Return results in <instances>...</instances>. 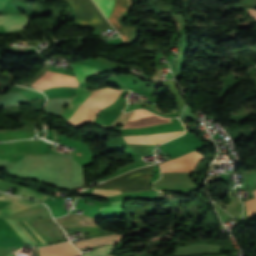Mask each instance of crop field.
Here are the masks:
<instances>
[{
    "mask_svg": "<svg viewBox=\"0 0 256 256\" xmlns=\"http://www.w3.org/2000/svg\"><path fill=\"white\" fill-rule=\"evenodd\" d=\"M122 202H112L111 208H101L100 210H120Z\"/></svg>",
    "mask_w": 256,
    "mask_h": 256,
    "instance_id": "crop-field-18",
    "label": "crop field"
},
{
    "mask_svg": "<svg viewBox=\"0 0 256 256\" xmlns=\"http://www.w3.org/2000/svg\"><path fill=\"white\" fill-rule=\"evenodd\" d=\"M252 193L254 194L255 198L245 202L248 216L256 213V190Z\"/></svg>",
    "mask_w": 256,
    "mask_h": 256,
    "instance_id": "crop-field-16",
    "label": "crop field"
},
{
    "mask_svg": "<svg viewBox=\"0 0 256 256\" xmlns=\"http://www.w3.org/2000/svg\"><path fill=\"white\" fill-rule=\"evenodd\" d=\"M106 88H109V87H106ZM101 89L94 90L93 92L90 90H86V89H77V91L75 92V94H77L75 99L69 104V106L65 109V111L62 113V115L60 117L64 118L66 120V122H68L69 119L73 116V114L78 110V108L82 105V103L86 100V98L92 92V94L88 97V99L83 103V105L79 108V110L75 113V115L68 122V124L73 126L76 123V121L79 119V117L83 114V112L89 107V105L99 95V93L101 92ZM111 89H103L102 92L100 93V95L90 105V107L84 112V114L81 116V118L77 121V123L74 126L80 125L87 120H92V118L97 110L108 105L117 95L123 93V92H121L123 90L117 91V90H111ZM115 99L113 101H115ZM101 110H99V111H101ZM99 111H97V113ZM88 122H90V121H88ZM85 123H83V124H85ZM82 125H80V126H82Z\"/></svg>",
    "mask_w": 256,
    "mask_h": 256,
    "instance_id": "crop-field-1",
    "label": "crop field"
},
{
    "mask_svg": "<svg viewBox=\"0 0 256 256\" xmlns=\"http://www.w3.org/2000/svg\"><path fill=\"white\" fill-rule=\"evenodd\" d=\"M79 155H83L82 160L77 159ZM89 164H92V158L88 151L84 149H76L72 153L73 171L76 169L83 168Z\"/></svg>",
    "mask_w": 256,
    "mask_h": 256,
    "instance_id": "crop-field-12",
    "label": "crop field"
},
{
    "mask_svg": "<svg viewBox=\"0 0 256 256\" xmlns=\"http://www.w3.org/2000/svg\"><path fill=\"white\" fill-rule=\"evenodd\" d=\"M4 220L11 226L13 231L21 237L24 244H31L33 246L47 245L28 220Z\"/></svg>",
    "mask_w": 256,
    "mask_h": 256,
    "instance_id": "crop-field-4",
    "label": "crop field"
},
{
    "mask_svg": "<svg viewBox=\"0 0 256 256\" xmlns=\"http://www.w3.org/2000/svg\"><path fill=\"white\" fill-rule=\"evenodd\" d=\"M38 256H76L80 252L76 250L71 243L66 242L63 244L38 248Z\"/></svg>",
    "mask_w": 256,
    "mask_h": 256,
    "instance_id": "crop-field-9",
    "label": "crop field"
},
{
    "mask_svg": "<svg viewBox=\"0 0 256 256\" xmlns=\"http://www.w3.org/2000/svg\"><path fill=\"white\" fill-rule=\"evenodd\" d=\"M181 132L157 134V135H138V136H123L127 143H136V144H160L167 140L173 139L181 134Z\"/></svg>",
    "mask_w": 256,
    "mask_h": 256,
    "instance_id": "crop-field-8",
    "label": "crop field"
},
{
    "mask_svg": "<svg viewBox=\"0 0 256 256\" xmlns=\"http://www.w3.org/2000/svg\"><path fill=\"white\" fill-rule=\"evenodd\" d=\"M115 245H109V246H105L99 249H96L88 254H86L85 256H104L107 255L108 253L111 252V250L114 248Z\"/></svg>",
    "mask_w": 256,
    "mask_h": 256,
    "instance_id": "crop-field-15",
    "label": "crop field"
},
{
    "mask_svg": "<svg viewBox=\"0 0 256 256\" xmlns=\"http://www.w3.org/2000/svg\"><path fill=\"white\" fill-rule=\"evenodd\" d=\"M0 200L12 203L0 208V217H7L22 210L28 209L34 205L40 204L38 202L21 199L19 197L7 194L0 196Z\"/></svg>",
    "mask_w": 256,
    "mask_h": 256,
    "instance_id": "crop-field-7",
    "label": "crop field"
},
{
    "mask_svg": "<svg viewBox=\"0 0 256 256\" xmlns=\"http://www.w3.org/2000/svg\"><path fill=\"white\" fill-rule=\"evenodd\" d=\"M0 191L6 192V190H4V189H2V188H0Z\"/></svg>",
    "mask_w": 256,
    "mask_h": 256,
    "instance_id": "crop-field-21",
    "label": "crop field"
},
{
    "mask_svg": "<svg viewBox=\"0 0 256 256\" xmlns=\"http://www.w3.org/2000/svg\"><path fill=\"white\" fill-rule=\"evenodd\" d=\"M7 0H0V10L4 7Z\"/></svg>",
    "mask_w": 256,
    "mask_h": 256,
    "instance_id": "crop-field-19",
    "label": "crop field"
},
{
    "mask_svg": "<svg viewBox=\"0 0 256 256\" xmlns=\"http://www.w3.org/2000/svg\"><path fill=\"white\" fill-rule=\"evenodd\" d=\"M27 19L22 16L4 15L0 16V24L4 23L6 32L23 28Z\"/></svg>",
    "mask_w": 256,
    "mask_h": 256,
    "instance_id": "crop-field-10",
    "label": "crop field"
},
{
    "mask_svg": "<svg viewBox=\"0 0 256 256\" xmlns=\"http://www.w3.org/2000/svg\"><path fill=\"white\" fill-rule=\"evenodd\" d=\"M75 75L76 78L78 80V82H86L85 80H87L88 78L97 75L99 73H103L97 69L94 68H90L87 67L85 65H81V64H70Z\"/></svg>",
    "mask_w": 256,
    "mask_h": 256,
    "instance_id": "crop-field-11",
    "label": "crop field"
},
{
    "mask_svg": "<svg viewBox=\"0 0 256 256\" xmlns=\"http://www.w3.org/2000/svg\"><path fill=\"white\" fill-rule=\"evenodd\" d=\"M202 156L193 151L179 158L161 164V171L193 170Z\"/></svg>",
    "mask_w": 256,
    "mask_h": 256,
    "instance_id": "crop-field-6",
    "label": "crop field"
},
{
    "mask_svg": "<svg viewBox=\"0 0 256 256\" xmlns=\"http://www.w3.org/2000/svg\"><path fill=\"white\" fill-rule=\"evenodd\" d=\"M102 13L107 18L112 9V0H94Z\"/></svg>",
    "mask_w": 256,
    "mask_h": 256,
    "instance_id": "crop-field-14",
    "label": "crop field"
},
{
    "mask_svg": "<svg viewBox=\"0 0 256 256\" xmlns=\"http://www.w3.org/2000/svg\"><path fill=\"white\" fill-rule=\"evenodd\" d=\"M18 195L23 196V197H27V198H31V199H35V200H38V201H42V202H44L47 198V196H44L42 194L36 193L32 190H29V189H26V188H23V187H21Z\"/></svg>",
    "mask_w": 256,
    "mask_h": 256,
    "instance_id": "crop-field-13",
    "label": "crop field"
},
{
    "mask_svg": "<svg viewBox=\"0 0 256 256\" xmlns=\"http://www.w3.org/2000/svg\"><path fill=\"white\" fill-rule=\"evenodd\" d=\"M91 194L100 196H114L121 193L119 191L93 190Z\"/></svg>",
    "mask_w": 256,
    "mask_h": 256,
    "instance_id": "crop-field-17",
    "label": "crop field"
},
{
    "mask_svg": "<svg viewBox=\"0 0 256 256\" xmlns=\"http://www.w3.org/2000/svg\"><path fill=\"white\" fill-rule=\"evenodd\" d=\"M55 224L56 223L51 218L38 219L32 222V225L48 244L65 240Z\"/></svg>",
    "mask_w": 256,
    "mask_h": 256,
    "instance_id": "crop-field-5",
    "label": "crop field"
},
{
    "mask_svg": "<svg viewBox=\"0 0 256 256\" xmlns=\"http://www.w3.org/2000/svg\"><path fill=\"white\" fill-rule=\"evenodd\" d=\"M65 1L72 4L76 21L96 26L99 31L110 27L91 0Z\"/></svg>",
    "mask_w": 256,
    "mask_h": 256,
    "instance_id": "crop-field-3",
    "label": "crop field"
},
{
    "mask_svg": "<svg viewBox=\"0 0 256 256\" xmlns=\"http://www.w3.org/2000/svg\"><path fill=\"white\" fill-rule=\"evenodd\" d=\"M222 256H226V255H222Z\"/></svg>",
    "mask_w": 256,
    "mask_h": 256,
    "instance_id": "crop-field-22",
    "label": "crop field"
},
{
    "mask_svg": "<svg viewBox=\"0 0 256 256\" xmlns=\"http://www.w3.org/2000/svg\"><path fill=\"white\" fill-rule=\"evenodd\" d=\"M56 221L63 227V228H74V227H90L96 226L95 225V218L84 216V215H75V214H67L65 217L57 218ZM69 232L75 231H83L84 234H90V238L114 234L108 233L107 231H102L99 227H90V228H74V229H67ZM123 235H108L102 236L97 238H92L84 241L74 242L76 246L80 249L86 247H92L97 245H104V244H111L119 242Z\"/></svg>",
    "mask_w": 256,
    "mask_h": 256,
    "instance_id": "crop-field-2",
    "label": "crop field"
},
{
    "mask_svg": "<svg viewBox=\"0 0 256 256\" xmlns=\"http://www.w3.org/2000/svg\"><path fill=\"white\" fill-rule=\"evenodd\" d=\"M251 13V16L256 20V11L249 10Z\"/></svg>",
    "mask_w": 256,
    "mask_h": 256,
    "instance_id": "crop-field-20",
    "label": "crop field"
}]
</instances>
